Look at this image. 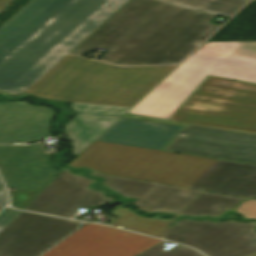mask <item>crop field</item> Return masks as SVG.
I'll return each instance as SVG.
<instances>
[{"label":"crop field","instance_id":"obj_20","mask_svg":"<svg viewBox=\"0 0 256 256\" xmlns=\"http://www.w3.org/2000/svg\"><path fill=\"white\" fill-rule=\"evenodd\" d=\"M230 18L248 0H165Z\"/></svg>","mask_w":256,"mask_h":256},{"label":"crop field","instance_id":"obj_14","mask_svg":"<svg viewBox=\"0 0 256 256\" xmlns=\"http://www.w3.org/2000/svg\"><path fill=\"white\" fill-rule=\"evenodd\" d=\"M52 117V110L26 102L0 104V143L46 137Z\"/></svg>","mask_w":256,"mask_h":256},{"label":"crop field","instance_id":"obj_24","mask_svg":"<svg viewBox=\"0 0 256 256\" xmlns=\"http://www.w3.org/2000/svg\"><path fill=\"white\" fill-rule=\"evenodd\" d=\"M195 52L216 55L221 57H224L226 55L225 48L222 43H205Z\"/></svg>","mask_w":256,"mask_h":256},{"label":"crop field","instance_id":"obj_17","mask_svg":"<svg viewBox=\"0 0 256 256\" xmlns=\"http://www.w3.org/2000/svg\"><path fill=\"white\" fill-rule=\"evenodd\" d=\"M119 118L120 117L94 116L88 113H78L65 126L66 134L73 140L74 155L77 156Z\"/></svg>","mask_w":256,"mask_h":256},{"label":"crop field","instance_id":"obj_10","mask_svg":"<svg viewBox=\"0 0 256 256\" xmlns=\"http://www.w3.org/2000/svg\"><path fill=\"white\" fill-rule=\"evenodd\" d=\"M163 150L256 164V135L188 126Z\"/></svg>","mask_w":256,"mask_h":256},{"label":"crop field","instance_id":"obj_3","mask_svg":"<svg viewBox=\"0 0 256 256\" xmlns=\"http://www.w3.org/2000/svg\"><path fill=\"white\" fill-rule=\"evenodd\" d=\"M127 0H71L0 62V91L18 96Z\"/></svg>","mask_w":256,"mask_h":256},{"label":"crop field","instance_id":"obj_12","mask_svg":"<svg viewBox=\"0 0 256 256\" xmlns=\"http://www.w3.org/2000/svg\"><path fill=\"white\" fill-rule=\"evenodd\" d=\"M0 173L6 185L39 193L59 172L40 144L0 145Z\"/></svg>","mask_w":256,"mask_h":256},{"label":"crop field","instance_id":"obj_29","mask_svg":"<svg viewBox=\"0 0 256 256\" xmlns=\"http://www.w3.org/2000/svg\"><path fill=\"white\" fill-rule=\"evenodd\" d=\"M9 0H0V8L5 5Z\"/></svg>","mask_w":256,"mask_h":256},{"label":"crop field","instance_id":"obj_11","mask_svg":"<svg viewBox=\"0 0 256 256\" xmlns=\"http://www.w3.org/2000/svg\"><path fill=\"white\" fill-rule=\"evenodd\" d=\"M92 182L64 169L24 209L71 218L76 207L100 205L111 200L88 189Z\"/></svg>","mask_w":256,"mask_h":256},{"label":"crop field","instance_id":"obj_16","mask_svg":"<svg viewBox=\"0 0 256 256\" xmlns=\"http://www.w3.org/2000/svg\"><path fill=\"white\" fill-rule=\"evenodd\" d=\"M181 128L120 118L96 140L160 150Z\"/></svg>","mask_w":256,"mask_h":256},{"label":"crop field","instance_id":"obj_6","mask_svg":"<svg viewBox=\"0 0 256 256\" xmlns=\"http://www.w3.org/2000/svg\"><path fill=\"white\" fill-rule=\"evenodd\" d=\"M169 120L256 134V84L207 76Z\"/></svg>","mask_w":256,"mask_h":256},{"label":"crop field","instance_id":"obj_2","mask_svg":"<svg viewBox=\"0 0 256 256\" xmlns=\"http://www.w3.org/2000/svg\"><path fill=\"white\" fill-rule=\"evenodd\" d=\"M107 174L256 197V166L94 141L72 162Z\"/></svg>","mask_w":256,"mask_h":256},{"label":"crop field","instance_id":"obj_15","mask_svg":"<svg viewBox=\"0 0 256 256\" xmlns=\"http://www.w3.org/2000/svg\"><path fill=\"white\" fill-rule=\"evenodd\" d=\"M70 0H31L0 27V57H6Z\"/></svg>","mask_w":256,"mask_h":256},{"label":"crop field","instance_id":"obj_22","mask_svg":"<svg viewBox=\"0 0 256 256\" xmlns=\"http://www.w3.org/2000/svg\"><path fill=\"white\" fill-rule=\"evenodd\" d=\"M164 243H166V241H163L139 256H202L198 252L187 247L177 246L168 251L162 250Z\"/></svg>","mask_w":256,"mask_h":256},{"label":"crop field","instance_id":"obj_26","mask_svg":"<svg viewBox=\"0 0 256 256\" xmlns=\"http://www.w3.org/2000/svg\"><path fill=\"white\" fill-rule=\"evenodd\" d=\"M19 213L20 211L18 210L5 208L0 213V231L5 228Z\"/></svg>","mask_w":256,"mask_h":256},{"label":"crop field","instance_id":"obj_25","mask_svg":"<svg viewBox=\"0 0 256 256\" xmlns=\"http://www.w3.org/2000/svg\"><path fill=\"white\" fill-rule=\"evenodd\" d=\"M236 211L244 217L256 219V201H244L239 205Z\"/></svg>","mask_w":256,"mask_h":256},{"label":"crop field","instance_id":"obj_19","mask_svg":"<svg viewBox=\"0 0 256 256\" xmlns=\"http://www.w3.org/2000/svg\"><path fill=\"white\" fill-rule=\"evenodd\" d=\"M116 218L111 225H121L123 228L138 231L140 233L161 238L167 225L171 222L169 220L153 219L141 217L125 208H117L108 213Z\"/></svg>","mask_w":256,"mask_h":256},{"label":"crop field","instance_id":"obj_18","mask_svg":"<svg viewBox=\"0 0 256 256\" xmlns=\"http://www.w3.org/2000/svg\"><path fill=\"white\" fill-rule=\"evenodd\" d=\"M242 200L240 198L203 192L180 215L220 216L224 211L232 209Z\"/></svg>","mask_w":256,"mask_h":256},{"label":"crop field","instance_id":"obj_4","mask_svg":"<svg viewBox=\"0 0 256 256\" xmlns=\"http://www.w3.org/2000/svg\"><path fill=\"white\" fill-rule=\"evenodd\" d=\"M177 65L117 67L68 53L23 94L132 107Z\"/></svg>","mask_w":256,"mask_h":256},{"label":"crop field","instance_id":"obj_8","mask_svg":"<svg viewBox=\"0 0 256 256\" xmlns=\"http://www.w3.org/2000/svg\"><path fill=\"white\" fill-rule=\"evenodd\" d=\"M79 224L21 212L0 232V256H38L75 230Z\"/></svg>","mask_w":256,"mask_h":256},{"label":"crop field","instance_id":"obj_13","mask_svg":"<svg viewBox=\"0 0 256 256\" xmlns=\"http://www.w3.org/2000/svg\"><path fill=\"white\" fill-rule=\"evenodd\" d=\"M105 177L104 186L115 190L124 197L136 198L134 203L146 212L160 211L177 214L199 191L188 190L157 183L92 173Z\"/></svg>","mask_w":256,"mask_h":256},{"label":"crop field","instance_id":"obj_27","mask_svg":"<svg viewBox=\"0 0 256 256\" xmlns=\"http://www.w3.org/2000/svg\"><path fill=\"white\" fill-rule=\"evenodd\" d=\"M124 116H125V117H131V118H138V119H144V120H151V121L163 122V123H170V124L182 125V126H186V125H187V124H183V123H177V122H171V121H164V120H156V119H148V118H142V117L127 115V114H124Z\"/></svg>","mask_w":256,"mask_h":256},{"label":"crop field","instance_id":"obj_1","mask_svg":"<svg viewBox=\"0 0 256 256\" xmlns=\"http://www.w3.org/2000/svg\"><path fill=\"white\" fill-rule=\"evenodd\" d=\"M215 14L161 0H128L70 53L108 50L99 60L118 65L180 62L219 25Z\"/></svg>","mask_w":256,"mask_h":256},{"label":"crop field","instance_id":"obj_9","mask_svg":"<svg viewBox=\"0 0 256 256\" xmlns=\"http://www.w3.org/2000/svg\"><path fill=\"white\" fill-rule=\"evenodd\" d=\"M42 256H135L161 240L87 223Z\"/></svg>","mask_w":256,"mask_h":256},{"label":"crop field","instance_id":"obj_21","mask_svg":"<svg viewBox=\"0 0 256 256\" xmlns=\"http://www.w3.org/2000/svg\"><path fill=\"white\" fill-rule=\"evenodd\" d=\"M70 106L74 111L92 112L94 114L116 115V116H123V114L130 109L126 107L77 104V103H70Z\"/></svg>","mask_w":256,"mask_h":256},{"label":"crop field","instance_id":"obj_28","mask_svg":"<svg viewBox=\"0 0 256 256\" xmlns=\"http://www.w3.org/2000/svg\"><path fill=\"white\" fill-rule=\"evenodd\" d=\"M7 203V196L2 185H0V209Z\"/></svg>","mask_w":256,"mask_h":256},{"label":"crop field","instance_id":"obj_7","mask_svg":"<svg viewBox=\"0 0 256 256\" xmlns=\"http://www.w3.org/2000/svg\"><path fill=\"white\" fill-rule=\"evenodd\" d=\"M255 222L184 219L168 228L164 239L192 246L208 256H246L256 252Z\"/></svg>","mask_w":256,"mask_h":256},{"label":"crop field","instance_id":"obj_23","mask_svg":"<svg viewBox=\"0 0 256 256\" xmlns=\"http://www.w3.org/2000/svg\"><path fill=\"white\" fill-rule=\"evenodd\" d=\"M11 206L18 209H23L26 204L37 194L22 191L16 189L15 191H9Z\"/></svg>","mask_w":256,"mask_h":256},{"label":"crop field","instance_id":"obj_30","mask_svg":"<svg viewBox=\"0 0 256 256\" xmlns=\"http://www.w3.org/2000/svg\"><path fill=\"white\" fill-rule=\"evenodd\" d=\"M248 256H256V253H253V254H251V255H248Z\"/></svg>","mask_w":256,"mask_h":256},{"label":"crop field","instance_id":"obj_31","mask_svg":"<svg viewBox=\"0 0 256 256\" xmlns=\"http://www.w3.org/2000/svg\"><path fill=\"white\" fill-rule=\"evenodd\" d=\"M2 59H4V58H0V61H1Z\"/></svg>","mask_w":256,"mask_h":256},{"label":"crop field","instance_id":"obj_32","mask_svg":"<svg viewBox=\"0 0 256 256\" xmlns=\"http://www.w3.org/2000/svg\"><path fill=\"white\" fill-rule=\"evenodd\" d=\"M1 184V183H0Z\"/></svg>","mask_w":256,"mask_h":256},{"label":"crop field","instance_id":"obj_5","mask_svg":"<svg viewBox=\"0 0 256 256\" xmlns=\"http://www.w3.org/2000/svg\"><path fill=\"white\" fill-rule=\"evenodd\" d=\"M223 44L224 58L193 53L126 113L168 120L207 75L256 83V42Z\"/></svg>","mask_w":256,"mask_h":256}]
</instances>
